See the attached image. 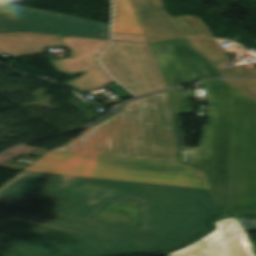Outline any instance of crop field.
I'll return each instance as SVG.
<instances>
[{
  "mask_svg": "<svg viewBox=\"0 0 256 256\" xmlns=\"http://www.w3.org/2000/svg\"><path fill=\"white\" fill-rule=\"evenodd\" d=\"M138 195L141 228L91 219ZM218 215L209 190L23 171L0 187V256H120L159 252Z\"/></svg>",
  "mask_w": 256,
  "mask_h": 256,
  "instance_id": "1",
  "label": "crop field"
},
{
  "mask_svg": "<svg viewBox=\"0 0 256 256\" xmlns=\"http://www.w3.org/2000/svg\"><path fill=\"white\" fill-rule=\"evenodd\" d=\"M210 98L199 149L184 148L181 113H193L183 88L167 91L176 160L204 171L221 214L256 212V102L221 80L200 83Z\"/></svg>",
  "mask_w": 256,
  "mask_h": 256,
  "instance_id": "2",
  "label": "crop field"
},
{
  "mask_svg": "<svg viewBox=\"0 0 256 256\" xmlns=\"http://www.w3.org/2000/svg\"><path fill=\"white\" fill-rule=\"evenodd\" d=\"M53 151L176 163L166 92L125 104Z\"/></svg>",
  "mask_w": 256,
  "mask_h": 256,
  "instance_id": "3",
  "label": "crop field"
},
{
  "mask_svg": "<svg viewBox=\"0 0 256 256\" xmlns=\"http://www.w3.org/2000/svg\"><path fill=\"white\" fill-rule=\"evenodd\" d=\"M26 170L209 189L201 171L171 163L49 152Z\"/></svg>",
  "mask_w": 256,
  "mask_h": 256,
  "instance_id": "4",
  "label": "crop field"
},
{
  "mask_svg": "<svg viewBox=\"0 0 256 256\" xmlns=\"http://www.w3.org/2000/svg\"><path fill=\"white\" fill-rule=\"evenodd\" d=\"M110 50L100 60L109 74L136 96L168 88L145 36L113 33Z\"/></svg>",
  "mask_w": 256,
  "mask_h": 256,
  "instance_id": "5",
  "label": "crop field"
},
{
  "mask_svg": "<svg viewBox=\"0 0 256 256\" xmlns=\"http://www.w3.org/2000/svg\"><path fill=\"white\" fill-rule=\"evenodd\" d=\"M65 45L71 50V58L54 60L57 71L73 76L100 66L97 56L107 49L110 41L57 36L14 33L0 34V54L7 53L13 57L43 53L44 47Z\"/></svg>",
  "mask_w": 256,
  "mask_h": 256,
  "instance_id": "6",
  "label": "crop field"
},
{
  "mask_svg": "<svg viewBox=\"0 0 256 256\" xmlns=\"http://www.w3.org/2000/svg\"><path fill=\"white\" fill-rule=\"evenodd\" d=\"M26 31L110 39V26L26 6H0V32Z\"/></svg>",
  "mask_w": 256,
  "mask_h": 256,
  "instance_id": "7",
  "label": "crop field"
},
{
  "mask_svg": "<svg viewBox=\"0 0 256 256\" xmlns=\"http://www.w3.org/2000/svg\"><path fill=\"white\" fill-rule=\"evenodd\" d=\"M168 87L222 76L186 39L149 44Z\"/></svg>",
  "mask_w": 256,
  "mask_h": 256,
  "instance_id": "8",
  "label": "crop field"
},
{
  "mask_svg": "<svg viewBox=\"0 0 256 256\" xmlns=\"http://www.w3.org/2000/svg\"><path fill=\"white\" fill-rule=\"evenodd\" d=\"M216 228L209 235L167 256H252L244 228L236 217L214 222Z\"/></svg>",
  "mask_w": 256,
  "mask_h": 256,
  "instance_id": "9",
  "label": "crop field"
},
{
  "mask_svg": "<svg viewBox=\"0 0 256 256\" xmlns=\"http://www.w3.org/2000/svg\"><path fill=\"white\" fill-rule=\"evenodd\" d=\"M149 43L184 37L157 10L150 0H131Z\"/></svg>",
  "mask_w": 256,
  "mask_h": 256,
  "instance_id": "10",
  "label": "crop field"
},
{
  "mask_svg": "<svg viewBox=\"0 0 256 256\" xmlns=\"http://www.w3.org/2000/svg\"><path fill=\"white\" fill-rule=\"evenodd\" d=\"M187 39L223 76H256V71H252L250 67L247 66L227 67L220 69L218 65L229 63V57L213 39Z\"/></svg>",
  "mask_w": 256,
  "mask_h": 256,
  "instance_id": "11",
  "label": "crop field"
},
{
  "mask_svg": "<svg viewBox=\"0 0 256 256\" xmlns=\"http://www.w3.org/2000/svg\"><path fill=\"white\" fill-rule=\"evenodd\" d=\"M113 32L145 35L129 0H114Z\"/></svg>",
  "mask_w": 256,
  "mask_h": 256,
  "instance_id": "12",
  "label": "crop field"
},
{
  "mask_svg": "<svg viewBox=\"0 0 256 256\" xmlns=\"http://www.w3.org/2000/svg\"><path fill=\"white\" fill-rule=\"evenodd\" d=\"M72 81H74V83H72ZM72 81L66 82L67 86L79 92H88L114 83V81L104 72L101 66L85 72L83 77Z\"/></svg>",
  "mask_w": 256,
  "mask_h": 256,
  "instance_id": "13",
  "label": "crop field"
},
{
  "mask_svg": "<svg viewBox=\"0 0 256 256\" xmlns=\"http://www.w3.org/2000/svg\"><path fill=\"white\" fill-rule=\"evenodd\" d=\"M236 89L256 101V79H224Z\"/></svg>",
  "mask_w": 256,
  "mask_h": 256,
  "instance_id": "14",
  "label": "crop field"
},
{
  "mask_svg": "<svg viewBox=\"0 0 256 256\" xmlns=\"http://www.w3.org/2000/svg\"><path fill=\"white\" fill-rule=\"evenodd\" d=\"M152 6L157 9L171 24H173L184 36L187 34L176 24L174 23L161 9V2L160 0H151Z\"/></svg>",
  "mask_w": 256,
  "mask_h": 256,
  "instance_id": "15",
  "label": "crop field"
},
{
  "mask_svg": "<svg viewBox=\"0 0 256 256\" xmlns=\"http://www.w3.org/2000/svg\"><path fill=\"white\" fill-rule=\"evenodd\" d=\"M246 231H256V220L237 218Z\"/></svg>",
  "mask_w": 256,
  "mask_h": 256,
  "instance_id": "16",
  "label": "crop field"
},
{
  "mask_svg": "<svg viewBox=\"0 0 256 256\" xmlns=\"http://www.w3.org/2000/svg\"><path fill=\"white\" fill-rule=\"evenodd\" d=\"M110 90L113 91L116 94L121 93V94L125 95L127 98L131 97V95L129 93H127L124 89H122L120 87V85L117 84V83L114 84L113 86H111Z\"/></svg>",
  "mask_w": 256,
  "mask_h": 256,
  "instance_id": "17",
  "label": "crop field"
},
{
  "mask_svg": "<svg viewBox=\"0 0 256 256\" xmlns=\"http://www.w3.org/2000/svg\"><path fill=\"white\" fill-rule=\"evenodd\" d=\"M129 199H135V200H137V196H129V195H121V196H119L118 198H116L114 201H112V202H114V203H122V202H124V201H126V200H129Z\"/></svg>",
  "mask_w": 256,
  "mask_h": 256,
  "instance_id": "18",
  "label": "crop field"
},
{
  "mask_svg": "<svg viewBox=\"0 0 256 256\" xmlns=\"http://www.w3.org/2000/svg\"><path fill=\"white\" fill-rule=\"evenodd\" d=\"M244 235H245V237H246V239H247V242H248V244H249V247H250V249H251V251H252L253 256H256V250H255L254 246L252 245V243H251V241L249 240V238H248V236L246 235V233H245Z\"/></svg>",
  "mask_w": 256,
  "mask_h": 256,
  "instance_id": "19",
  "label": "crop field"
}]
</instances>
